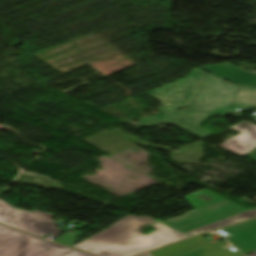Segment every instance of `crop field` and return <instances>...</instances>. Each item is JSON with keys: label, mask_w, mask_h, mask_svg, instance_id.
<instances>
[{"label": "crop field", "mask_w": 256, "mask_h": 256, "mask_svg": "<svg viewBox=\"0 0 256 256\" xmlns=\"http://www.w3.org/2000/svg\"><path fill=\"white\" fill-rule=\"evenodd\" d=\"M231 103L256 108V89L233 85L209 74L190 107L158 113L138 120L140 128L168 122L200 139L212 132L201 125L214 115H222ZM185 120L180 122V120Z\"/></svg>", "instance_id": "crop-field-1"}, {"label": "crop field", "mask_w": 256, "mask_h": 256, "mask_svg": "<svg viewBox=\"0 0 256 256\" xmlns=\"http://www.w3.org/2000/svg\"><path fill=\"white\" fill-rule=\"evenodd\" d=\"M149 217L127 216L107 230L73 246L100 256H133L187 236L157 222V229L147 235L137 231L143 225L153 223Z\"/></svg>", "instance_id": "crop-field-2"}, {"label": "crop field", "mask_w": 256, "mask_h": 256, "mask_svg": "<svg viewBox=\"0 0 256 256\" xmlns=\"http://www.w3.org/2000/svg\"><path fill=\"white\" fill-rule=\"evenodd\" d=\"M185 199L196 211L164 222L182 233L247 211L206 189L191 194Z\"/></svg>", "instance_id": "crop-field-3"}, {"label": "crop field", "mask_w": 256, "mask_h": 256, "mask_svg": "<svg viewBox=\"0 0 256 256\" xmlns=\"http://www.w3.org/2000/svg\"><path fill=\"white\" fill-rule=\"evenodd\" d=\"M69 249L0 224V256H61Z\"/></svg>", "instance_id": "crop-field-4"}, {"label": "crop field", "mask_w": 256, "mask_h": 256, "mask_svg": "<svg viewBox=\"0 0 256 256\" xmlns=\"http://www.w3.org/2000/svg\"><path fill=\"white\" fill-rule=\"evenodd\" d=\"M207 76L208 73L195 68L187 78L170 83L146 93L164 103L160 107L159 112H166L187 107L192 103ZM177 82L180 83L165 93L167 89H169Z\"/></svg>", "instance_id": "crop-field-5"}, {"label": "crop field", "mask_w": 256, "mask_h": 256, "mask_svg": "<svg viewBox=\"0 0 256 256\" xmlns=\"http://www.w3.org/2000/svg\"><path fill=\"white\" fill-rule=\"evenodd\" d=\"M53 214L39 210H20L0 199V222L43 237L47 233L58 236L63 230L51 220Z\"/></svg>", "instance_id": "crop-field-6"}, {"label": "crop field", "mask_w": 256, "mask_h": 256, "mask_svg": "<svg viewBox=\"0 0 256 256\" xmlns=\"http://www.w3.org/2000/svg\"><path fill=\"white\" fill-rule=\"evenodd\" d=\"M151 254L154 256H242L238 251L234 253L229 251L223 240L211 244L201 236L156 250Z\"/></svg>", "instance_id": "crop-field-7"}, {"label": "crop field", "mask_w": 256, "mask_h": 256, "mask_svg": "<svg viewBox=\"0 0 256 256\" xmlns=\"http://www.w3.org/2000/svg\"><path fill=\"white\" fill-rule=\"evenodd\" d=\"M232 128L241 133L220 145L222 148L244 156L256 147V125L243 121Z\"/></svg>", "instance_id": "crop-field-8"}, {"label": "crop field", "mask_w": 256, "mask_h": 256, "mask_svg": "<svg viewBox=\"0 0 256 256\" xmlns=\"http://www.w3.org/2000/svg\"><path fill=\"white\" fill-rule=\"evenodd\" d=\"M223 229L233 235L227 240L244 254L256 251V219Z\"/></svg>", "instance_id": "crop-field-9"}, {"label": "crop field", "mask_w": 256, "mask_h": 256, "mask_svg": "<svg viewBox=\"0 0 256 256\" xmlns=\"http://www.w3.org/2000/svg\"><path fill=\"white\" fill-rule=\"evenodd\" d=\"M201 68L226 78L233 83L256 88V74L240 69L229 63L201 66Z\"/></svg>", "instance_id": "crop-field-10"}, {"label": "crop field", "mask_w": 256, "mask_h": 256, "mask_svg": "<svg viewBox=\"0 0 256 256\" xmlns=\"http://www.w3.org/2000/svg\"><path fill=\"white\" fill-rule=\"evenodd\" d=\"M254 216H256V210L247 211V212L235 215L233 217H230V218L203 226L201 228L189 231L185 234H187L189 236L200 234V233H203V232H206L209 230H213V229H216V228H219V227L231 224V223H235V222H238V221L250 218V217H254Z\"/></svg>", "instance_id": "crop-field-11"}, {"label": "crop field", "mask_w": 256, "mask_h": 256, "mask_svg": "<svg viewBox=\"0 0 256 256\" xmlns=\"http://www.w3.org/2000/svg\"><path fill=\"white\" fill-rule=\"evenodd\" d=\"M80 235L81 233H77V232H75L72 236L65 235L61 239H59L57 243L71 246Z\"/></svg>", "instance_id": "crop-field-12"}, {"label": "crop field", "mask_w": 256, "mask_h": 256, "mask_svg": "<svg viewBox=\"0 0 256 256\" xmlns=\"http://www.w3.org/2000/svg\"><path fill=\"white\" fill-rule=\"evenodd\" d=\"M63 256H91V255L71 249L67 253H65Z\"/></svg>", "instance_id": "crop-field-13"}, {"label": "crop field", "mask_w": 256, "mask_h": 256, "mask_svg": "<svg viewBox=\"0 0 256 256\" xmlns=\"http://www.w3.org/2000/svg\"><path fill=\"white\" fill-rule=\"evenodd\" d=\"M247 155L256 161V148L252 150L250 153H248Z\"/></svg>", "instance_id": "crop-field-14"}, {"label": "crop field", "mask_w": 256, "mask_h": 256, "mask_svg": "<svg viewBox=\"0 0 256 256\" xmlns=\"http://www.w3.org/2000/svg\"><path fill=\"white\" fill-rule=\"evenodd\" d=\"M247 256H256V252H255V253H253V254H251V255H247Z\"/></svg>", "instance_id": "crop-field-15"}, {"label": "crop field", "mask_w": 256, "mask_h": 256, "mask_svg": "<svg viewBox=\"0 0 256 256\" xmlns=\"http://www.w3.org/2000/svg\"><path fill=\"white\" fill-rule=\"evenodd\" d=\"M142 256H148L147 254H144V255H142Z\"/></svg>", "instance_id": "crop-field-16"}]
</instances>
